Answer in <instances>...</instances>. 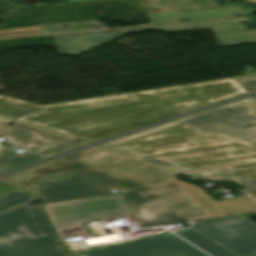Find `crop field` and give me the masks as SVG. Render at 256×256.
<instances>
[{
  "label": "crop field",
  "mask_w": 256,
  "mask_h": 256,
  "mask_svg": "<svg viewBox=\"0 0 256 256\" xmlns=\"http://www.w3.org/2000/svg\"><path fill=\"white\" fill-rule=\"evenodd\" d=\"M2 147H3V146H2V145H0V150L2 149Z\"/></svg>",
  "instance_id": "a9b5d70f"
},
{
  "label": "crop field",
  "mask_w": 256,
  "mask_h": 256,
  "mask_svg": "<svg viewBox=\"0 0 256 256\" xmlns=\"http://www.w3.org/2000/svg\"><path fill=\"white\" fill-rule=\"evenodd\" d=\"M236 79L240 82V84L245 88V90L247 92L256 90V87L251 88V89L248 88V86L256 85V81H254V82L249 81V80L256 79V74L242 76V77H236ZM242 81H247V83H243Z\"/></svg>",
  "instance_id": "4a817a6b"
},
{
  "label": "crop field",
  "mask_w": 256,
  "mask_h": 256,
  "mask_svg": "<svg viewBox=\"0 0 256 256\" xmlns=\"http://www.w3.org/2000/svg\"><path fill=\"white\" fill-rule=\"evenodd\" d=\"M89 256H208L167 232L150 238L86 253Z\"/></svg>",
  "instance_id": "3316defc"
},
{
  "label": "crop field",
  "mask_w": 256,
  "mask_h": 256,
  "mask_svg": "<svg viewBox=\"0 0 256 256\" xmlns=\"http://www.w3.org/2000/svg\"><path fill=\"white\" fill-rule=\"evenodd\" d=\"M131 160L95 147L64 157L24 173L1 180L26 192L40 175L88 169L107 164Z\"/></svg>",
  "instance_id": "5a996713"
},
{
  "label": "crop field",
  "mask_w": 256,
  "mask_h": 256,
  "mask_svg": "<svg viewBox=\"0 0 256 256\" xmlns=\"http://www.w3.org/2000/svg\"><path fill=\"white\" fill-rule=\"evenodd\" d=\"M174 233L212 256L256 255V225L241 215L195 225Z\"/></svg>",
  "instance_id": "e52e79f7"
},
{
  "label": "crop field",
  "mask_w": 256,
  "mask_h": 256,
  "mask_svg": "<svg viewBox=\"0 0 256 256\" xmlns=\"http://www.w3.org/2000/svg\"><path fill=\"white\" fill-rule=\"evenodd\" d=\"M14 150V148L5 146L1 151L0 175L47 158L27 151L18 154Z\"/></svg>",
  "instance_id": "cbeb9de0"
},
{
  "label": "crop field",
  "mask_w": 256,
  "mask_h": 256,
  "mask_svg": "<svg viewBox=\"0 0 256 256\" xmlns=\"http://www.w3.org/2000/svg\"><path fill=\"white\" fill-rule=\"evenodd\" d=\"M178 175L131 160L89 170L40 176L28 193L48 203L110 195L109 189L137 187Z\"/></svg>",
  "instance_id": "412701ff"
},
{
  "label": "crop field",
  "mask_w": 256,
  "mask_h": 256,
  "mask_svg": "<svg viewBox=\"0 0 256 256\" xmlns=\"http://www.w3.org/2000/svg\"><path fill=\"white\" fill-rule=\"evenodd\" d=\"M186 175L227 170L256 186V111L249 98L98 145Z\"/></svg>",
  "instance_id": "8a807250"
},
{
  "label": "crop field",
  "mask_w": 256,
  "mask_h": 256,
  "mask_svg": "<svg viewBox=\"0 0 256 256\" xmlns=\"http://www.w3.org/2000/svg\"><path fill=\"white\" fill-rule=\"evenodd\" d=\"M1 137L4 138L1 143L47 157L86 145L18 122H15Z\"/></svg>",
  "instance_id": "28ad6ade"
},
{
  "label": "crop field",
  "mask_w": 256,
  "mask_h": 256,
  "mask_svg": "<svg viewBox=\"0 0 256 256\" xmlns=\"http://www.w3.org/2000/svg\"><path fill=\"white\" fill-rule=\"evenodd\" d=\"M102 220L103 219L83 223L89 235L66 239L71 249L67 251L69 256L113 246V243L106 233Z\"/></svg>",
  "instance_id": "22f410ed"
},
{
  "label": "crop field",
  "mask_w": 256,
  "mask_h": 256,
  "mask_svg": "<svg viewBox=\"0 0 256 256\" xmlns=\"http://www.w3.org/2000/svg\"><path fill=\"white\" fill-rule=\"evenodd\" d=\"M42 207H17L0 215V256H67Z\"/></svg>",
  "instance_id": "dd49c442"
},
{
  "label": "crop field",
  "mask_w": 256,
  "mask_h": 256,
  "mask_svg": "<svg viewBox=\"0 0 256 256\" xmlns=\"http://www.w3.org/2000/svg\"><path fill=\"white\" fill-rule=\"evenodd\" d=\"M244 1H247V2H250V3H256V0H244Z\"/></svg>",
  "instance_id": "dafd665d"
},
{
  "label": "crop field",
  "mask_w": 256,
  "mask_h": 256,
  "mask_svg": "<svg viewBox=\"0 0 256 256\" xmlns=\"http://www.w3.org/2000/svg\"><path fill=\"white\" fill-rule=\"evenodd\" d=\"M226 172V175L222 176H201V177H197L196 175H191L193 177H196L198 179L201 180H226V181H232L234 183H237L239 185H241L236 179H234L227 171H223ZM217 173H221V172H215V173H207V174H217ZM199 175H205V174H199Z\"/></svg>",
  "instance_id": "733c2abd"
},
{
  "label": "crop field",
  "mask_w": 256,
  "mask_h": 256,
  "mask_svg": "<svg viewBox=\"0 0 256 256\" xmlns=\"http://www.w3.org/2000/svg\"><path fill=\"white\" fill-rule=\"evenodd\" d=\"M40 201L33 196L21 191L14 190L0 197V214L17 206L28 205L33 202Z\"/></svg>",
  "instance_id": "d9b57169"
},
{
  "label": "crop field",
  "mask_w": 256,
  "mask_h": 256,
  "mask_svg": "<svg viewBox=\"0 0 256 256\" xmlns=\"http://www.w3.org/2000/svg\"><path fill=\"white\" fill-rule=\"evenodd\" d=\"M253 97H254V99H255V101H256V95H254Z\"/></svg>",
  "instance_id": "00972430"
},
{
  "label": "crop field",
  "mask_w": 256,
  "mask_h": 256,
  "mask_svg": "<svg viewBox=\"0 0 256 256\" xmlns=\"http://www.w3.org/2000/svg\"><path fill=\"white\" fill-rule=\"evenodd\" d=\"M44 211L65 250H68L69 247L64 238L87 234L81 223L131 213L121 193L48 203L45 204Z\"/></svg>",
  "instance_id": "d8731c3e"
},
{
  "label": "crop field",
  "mask_w": 256,
  "mask_h": 256,
  "mask_svg": "<svg viewBox=\"0 0 256 256\" xmlns=\"http://www.w3.org/2000/svg\"><path fill=\"white\" fill-rule=\"evenodd\" d=\"M245 93L229 78L43 106L0 95V114L91 143Z\"/></svg>",
  "instance_id": "ac0d7876"
},
{
  "label": "crop field",
  "mask_w": 256,
  "mask_h": 256,
  "mask_svg": "<svg viewBox=\"0 0 256 256\" xmlns=\"http://www.w3.org/2000/svg\"><path fill=\"white\" fill-rule=\"evenodd\" d=\"M248 8L241 5L147 15L150 24L205 20L239 16Z\"/></svg>",
  "instance_id": "d1516ede"
},
{
  "label": "crop field",
  "mask_w": 256,
  "mask_h": 256,
  "mask_svg": "<svg viewBox=\"0 0 256 256\" xmlns=\"http://www.w3.org/2000/svg\"><path fill=\"white\" fill-rule=\"evenodd\" d=\"M65 26V28H61ZM43 34L107 28L98 20L39 26Z\"/></svg>",
  "instance_id": "5142ce71"
},
{
  "label": "crop field",
  "mask_w": 256,
  "mask_h": 256,
  "mask_svg": "<svg viewBox=\"0 0 256 256\" xmlns=\"http://www.w3.org/2000/svg\"><path fill=\"white\" fill-rule=\"evenodd\" d=\"M54 1L75 2V1H83V0H54Z\"/></svg>",
  "instance_id": "92a150f3"
},
{
  "label": "crop field",
  "mask_w": 256,
  "mask_h": 256,
  "mask_svg": "<svg viewBox=\"0 0 256 256\" xmlns=\"http://www.w3.org/2000/svg\"><path fill=\"white\" fill-rule=\"evenodd\" d=\"M120 192L139 227L256 212L245 196L214 201L202 188L176 179Z\"/></svg>",
  "instance_id": "34b2d1b8"
},
{
  "label": "crop field",
  "mask_w": 256,
  "mask_h": 256,
  "mask_svg": "<svg viewBox=\"0 0 256 256\" xmlns=\"http://www.w3.org/2000/svg\"><path fill=\"white\" fill-rule=\"evenodd\" d=\"M242 193L256 205V188L246 189Z\"/></svg>",
  "instance_id": "bc2a9ffb"
},
{
  "label": "crop field",
  "mask_w": 256,
  "mask_h": 256,
  "mask_svg": "<svg viewBox=\"0 0 256 256\" xmlns=\"http://www.w3.org/2000/svg\"><path fill=\"white\" fill-rule=\"evenodd\" d=\"M78 256H86V255L82 254V255H78Z\"/></svg>",
  "instance_id": "4177f3b9"
},
{
  "label": "crop field",
  "mask_w": 256,
  "mask_h": 256,
  "mask_svg": "<svg viewBox=\"0 0 256 256\" xmlns=\"http://www.w3.org/2000/svg\"><path fill=\"white\" fill-rule=\"evenodd\" d=\"M12 120L0 117V134L11 124Z\"/></svg>",
  "instance_id": "214f88e0"
},
{
  "label": "crop field",
  "mask_w": 256,
  "mask_h": 256,
  "mask_svg": "<svg viewBox=\"0 0 256 256\" xmlns=\"http://www.w3.org/2000/svg\"><path fill=\"white\" fill-rule=\"evenodd\" d=\"M250 16L138 26L114 30L51 35L60 55L79 56L106 42L136 31L157 29L168 33L212 28L218 46L256 43V29L243 27L241 22L250 21Z\"/></svg>",
  "instance_id": "f4fd0767"
}]
</instances>
